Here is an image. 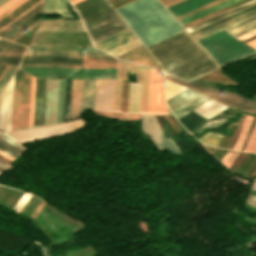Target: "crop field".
<instances>
[{
  "mask_svg": "<svg viewBox=\"0 0 256 256\" xmlns=\"http://www.w3.org/2000/svg\"><path fill=\"white\" fill-rule=\"evenodd\" d=\"M254 25H256V20L255 21H252V22H250V23H248V24H245V25H243V26H240V27H238V28H235V29H233V30H230V31H228V33H230L231 35H233V34H235V33H237V32H240V31H242V30H245V29H247V28H249V27H252V26H254ZM253 30H256V26H254V27H252V28H249V29H247V30H245V31H242V32H240V33H237V34H235V35H233L235 38H237V37H239V36H241V35H244V34H246V33H249V32H251V31H253Z\"/></svg>",
  "mask_w": 256,
  "mask_h": 256,
  "instance_id": "38",
  "label": "crop field"
},
{
  "mask_svg": "<svg viewBox=\"0 0 256 256\" xmlns=\"http://www.w3.org/2000/svg\"><path fill=\"white\" fill-rule=\"evenodd\" d=\"M255 13H256V9H255V10H252V11H250V12H248V13H245V14H243V15H241V16H238V17H236V18H234V19H231V20H229V21H226V22H224V23H222V24H219V25H217V26H215V27H212V28H210V29H208V30H205V31H203V32H201V33H198V34L194 35V37L197 38V37H199V36L205 35V34L210 33V32H212V31L218 30V29H220L221 27H223V26H225V25H228V24H230V23H233V22H235V21H237V20H240V19H242V18H245V17L250 16V15L255 14Z\"/></svg>",
  "mask_w": 256,
  "mask_h": 256,
  "instance_id": "34",
  "label": "crop field"
},
{
  "mask_svg": "<svg viewBox=\"0 0 256 256\" xmlns=\"http://www.w3.org/2000/svg\"><path fill=\"white\" fill-rule=\"evenodd\" d=\"M255 19H256V14H255V15H252V16H250V17H247V18H245V19H242V20H240V21H237V22H235V23H233V24H230V25H228V26H225V27H223L222 29L228 31V30H230V29H233V28H235V27H238V26H240V25H243V24L248 23V22H250V21H252V20H255ZM220 30H221V29H220ZM218 31H219V30H218ZM215 32H217V31H215ZM212 33H214V32H212ZM212 33H210V34H212ZM207 35H209V34H207ZM207 35H205V36H207ZM205 36H202V37H205ZM202 37H199V38H197L196 40H198V39H200V38H202Z\"/></svg>",
  "mask_w": 256,
  "mask_h": 256,
  "instance_id": "40",
  "label": "crop field"
},
{
  "mask_svg": "<svg viewBox=\"0 0 256 256\" xmlns=\"http://www.w3.org/2000/svg\"><path fill=\"white\" fill-rule=\"evenodd\" d=\"M173 82H176L178 84L187 86L193 90H196L208 97H211L223 104L232 106L234 108L249 112L251 114L256 115V102L246 100L236 94L226 92L223 90L215 89V88H210V87H204V86H198V85H193L189 84L180 80H176L170 77H165ZM224 92L225 94L222 95L221 93Z\"/></svg>",
  "mask_w": 256,
  "mask_h": 256,
  "instance_id": "8",
  "label": "crop field"
},
{
  "mask_svg": "<svg viewBox=\"0 0 256 256\" xmlns=\"http://www.w3.org/2000/svg\"><path fill=\"white\" fill-rule=\"evenodd\" d=\"M147 113H167L163 100L162 75L150 69Z\"/></svg>",
  "mask_w": 256,
  "mask_h": 256,
  "instance_id": "13",
  "label": "crop field"
},
{
  "mask_svg": "<svg viewBox=\"0 0 256 256\" xmlns=\"http://www.w3.org/2000/svg\"><path fill=\"white\" fill-rule=\"evenodd\" d=\"M165 89H166V99H168L187 88L165 80Z\"/></svg>",
  "mask_w": 256,
  "mask_h": 256,
  "instance_id": "37",
  "label": "crop field"
},
{
  "mask_svg": "<svg viewBox=\"0 0 256 256\" xmlns=\"http://www.w3.org/2000/svg\"><path fill=\"white\" fill-rule=\"evenodd\" d=\"M0 175H1V173H0Z\"/></svg>",
  "mask_w": 256,
  "mask_h": 256,
  "instance_id": "56",
  "label": "crop field"
},
{
  "mask_svg": "<svg viewBox=\"0 0 256 256\" xmlns=\"http://www.w3.org/2000/svg\"><path fill=\"white\" fill-rule=\"evenodd\" d=\"M142 130L148 134L158 149L168 148L169 151L182 154L170 138L165 139L155 115L140 114Z\"/></svg>",
  "mask_w": 256,
  "mask_h": 256,
  "instance_id": "12",
  "label": "crop field"
},
{
  "mask_svg": "<svg viewBox=\"0 0 256 256\" xmlns=\"http://www.w3.org/2000/svg\"><path fill=\"white\" fill-rule=\"evenodd\" d=\"M255 4H256V0H252V1L247 2V3L243 4V5H240V6L236 7V8H233V9H231V10H229V11H226V12H224V13H222V14H219V15H217V16H215V17H212V18H210V19H208V20H205V21H203V22H201V23H198V24H196V25H194V26H191V27L187 28V30H188L189 32H191V31H193V30H195V29H198V28H200V27H203V26H205V25H207V24H210V23H212V22H214V21H217V20H219V19H222V18H224V17H226V16H229V15H231V14H233V13H236V12H238V11H241V10H243V9H245V8H248V7H250V6H252V5H255Z\"/></svg>",
  "mask_w": 256,
  "mask_h": 256,
  "instance_id": "26",
  "label": "crop field"
},
{
  "mask_svg": "<svg viewBox=\"0 0 256 256\" xmlns=\"http://www.w3.org/2000/svg\"><path fill=\"white\" fill-rule=\"evenodd\" d=\"M74 8L93 44L127 29L106 0H84Z\"/></svg>",
  "mask_w": 256,
  "mask_h": 256,
  "instance_id": "1",
  "label": "crop field"
},
{
  "mask_svg": "<svg viewBox=\"0 0 256 256\" xmlns=\"http://www.w3.org/2000/svg\"><path fill=\"white\" fill-rule=\"evenodd\" d=\"M200 94L193 92L189 89L177 94L176 96L166 100L170 110H174L179 106L185 104L186 102L194 99L195 97L199 96Z\"/></svg>",
  "mask_w": 256,
  "mask_h": 256,
  "instance_id": "27",
  "label": "crop field"
},
{
  "mask_svg": "<svg viewBox=\"0 0 256 256\" xmlns=\"http://www.w3.org/2000/svg\"><path fill=\"white\" fill-rule=\"evenodd\" d=\"M119 57L136 62V63L143 64L152 68L159 69V67L155 64V62L151 59V57L147 54V52L143 49L142 46L130 52H127Z\"/></svg>",
  "mask_w": 256,
  "mask_h": 256,
  "instance_id": "22",
  "label": "crop field"
},
{
  "mask_svg": "<svg viewBox=\"0 0 256 256\" xmlns=\"http://www.w3.org/2000/svg\"><path fill=\"white\" fill-rule=\"evenodd\" d=\"M27 47L0 39V63L19 65Z\"/></svg>",
  "mask_w": 256,
  "mask_h": 256,
  "instance_id": "18",
  "label": "crop field"
},
{
  "mask_svg": "<svg viewBox=\"0 0 256 256\" xmlns=\"http://www.w3.org/2000/svg\"><path fill=\"white\" fill-rule=\"evenodd\" d=\"M94 112L97 114H101L104 116H108V117L123 120V121H135V120L141 119L139 114H124V113L102 112V111H94Z\"/></svg>",
  "mask_w": 256,
  "mask_h": 256,
  "instance_id": "32",
  "label": "crop field"
},
{
  "mask_svg": "<svg viewBox=\"0 0 256 256\" xmlns=\"http://www.w3.org/2000/svg\"><path fill=\"white\" fill-rule=\"evenodd\" d=\"M135 39L134 35L130 32L129 29L116 34L106 40H103L97 44H95L94 46L107 52L115 47H118L124 43H127L131 40Z\"/></svg>",
  "mask_w": 256,
  "mask_h": 256,
  "instance_id": "21",
  "label": "crop field"
},
{
  "mask_svg": "<svg viewBox=\"0 0 256 256\" xmlns=\"http://www.w3.org/2000/svg\"><path fill=\"white\" fill-rule=\"evenodd\" d=\"M135 72L137 83H142L140 112L146 113L149 69L119 60L118 79L115 87L114 111H120L122 79Z\"/></svg>",
  "mask_w": 256,
  "mask_h": 256,
  "instance_id": "6",
  "label": "crop field"
},
{
  "mask_svg": "<svg viewBox=\"0 0 256 256\" xmlns=\"http://www.w3.org/2000/svg\"><path fill=\"white\" fill-rule=\"evenodd\" d=\"M250 198V197H249ZM253 199V198H252Z\"/></svg>",
  "mask_w": 256,
  "mask_h": 256,
  "instance_id": "57",
  "label": "crop field"
},
{
  "mask_svg": "<svg viewBox=\"0 0 256 256\" xmlns=\"http://www.w3.org/2000/svg\"><path fill=\"white\" fill-rule=\"evenodd\" d=\"M59 79H47L44 124L56 122Z\"/></svg>",
  "mask_w": 256,
  "mask_h": 256,
  "instance_id": "16",
  "label": "crop field"
},
{
  "mask_svg": "<svg viewBox=\"0 0 256 256\" xmlns=\"http://www.w3.org/2000/svg\"><path fill=\"white\" fill-rule=\"evenodd\" d=\"M41 6H42V2H40L38 5L33 7L31 10H29L24 15H22L17 20L12 22L3 30H1L0 37L13 41L19 36H21L22 34H24L26 30L29 31L30 29H32L35 25L39 23L41 19L39 18L35 22L33 21V17L41 13Z\"/></svg>",
  "mask_w": 256,
  "mask_h": 256,
  "instance_id": "11",
  "label": "crop field"
},
{
  "mask_svg": "<svg viewBox=\"0 0 256 256\" xmlns=\"http://www.w3.org/2000/svg\"><path fill=\"white\" fill-rule=\"evenodd\" d=\"M80 1H82V0H73V1H71V4L74 5V4H76V3L80 2Z\"/></svg>",
  "mask_w": 256,
  "mask_h": 256,
  "instance_id": "54",
  "label": "crop field"
},
{
  "mask_svg": "<svg viewBox=\"0 0 256 256\" xmlns=\"http://www.w3.org/2000/svg\"><path fill=\"white\" fill-rule=\"evenodd\" d=\"M210 99L204 97V96H199L197 98H195L194 100L188 102L187 104L179 107L178 109L172 111L173 114L176 116V118H180L183 115L189 113L190 111H192L193 109L199 107L200 105L204 104L205 102L209 101Z\"/></svg>",
  "mask_w": 256,
  "mask_h": 256,
  "instance_id": "30",
  "label": "crop field"
},
{
  "mask_svg": "<svg viewBox=\"0 0 256 256\" xmlns=\"http://www.w3.org/2000/svg\"><path fill=\"white\" fill-rule=\"evenodd\" d=\"M30 45L92 46L86 32L37 31Z\"/></svg>",
  "mask_w": 256,
  "mask_h": 256,
  "instance_id": "9",
  "label": "crop field"
},
{
  "mask_svg": "<svg viewBox=\"0 0 256 256\" xmlns=\"http://www.w3.org/2000/svg\"><path fill=\"white\" fill-rule=\"evenodd\" d=\"M220 1H223V0H218V1H216V2H213V3H211V4H208V5H206V6H203V7L199 8V9H196V10H194V11H191V12H189V13H186V14H184V15H182V16H179V17H177V20H179V19H181V18H183V17H186V16H188V15H190V14H193V13H195V12H197V11H200V10H202V9H204V8H207V7L211 6V5H214V4H216V3L220 2Z\"/></svg>",
  "mask_w": 256,
  "mask_h": 256,
  "instance_id": "47",
  "label": "crop field"
},
{
  "mask_svg": "<svg viewBox=\"0 0 256 256\" xmlns=\"http://www.w3.org/2000/svg\"><path fill=\"white\" fill-rule=\"evenodd\" d=\"M198 42L220 66L256 53L223 30L202 38Z\"/></svg>",
  "mask_w": 256,
  "mask_h": 256,
  "instance_id": "2",
  "label": "crop field"
},
{
  "mask_svg": "<svg viewBox=\"0 0 256 256\" xmlns=\"http://www.w3.org/2000/svg\"><path fill=\"white\" fill-rule=\"evenodd\" d=\"M37 78L51 76H84L116 78V69H43L22 68Z\"/></svg>",
  "mask_w": 256,
  "mask_h": 256,
  "instance_id": "10",
  "label": "crop field"
},
{
  "mask_svg": "<svg viewBox=\"0 0 256 256\" xmlns=\"http://www.w3.org/2000/svg\"><path fill=\"white\" fill-rule=\"evenodd\" d=\"M246 44L256 49V39L253 40V41H250V42H248Z\"/></svg>",
  "mask_w": 256,
  "mask_h": 256,
  "instance_id": "51",
  "label": "crop field"
},
{
  "mask_svg": "<svg viewBox=\"0 0 256 256\" xmlns=\"http://www.w3.org/2000/svg\"><path fill=\"white\" fill-rule=\"evenodd\" d=\"M26 55L108 56L100 51L28 50Z\"/></svg>",
  "mask_w": 256,
  "mask_h": 256,
  "instance_id": "23",
  "label": "crop field"
},
{
  "mask_svg": "<svg viewBox=\"0 0 256 256\" xmlns=\"http://www.w3.org/2000/svg\"><path fill=\"white\" fill-rule=\"evenodd\" d=\"M160 1H162V0H160Z\"/></svg>",
  "mask_w": 256,
  "mask_h": 256,
  "instance_id": "58",
  "label": "crop field"
},
{
  "mask_svg": "<svg viewBox=\"0 0 256 256\" xmlns=\"http://www.w3.org/2000/svg\"><path fill=\"white\" fill-rule=\"evenodd\" d=\"M35 78L32 77L29 127L32 126Z\"/></svg>",
  "mask_w": 256,
  "mask_h": 256,
  "instance_id": "42",
  "label": "crop field"
},
{
  "mask_svg": "<svg viewBox=\"0 0 256 256\" xmlns=\"http://www.w3.org/2000/svg\"><path fill=\"white\" fill-rule=\"evenodd\" d=\"M226 108L227 107L211 100L194 111L208 119Z\"/></svg>",
  "mask_w": 256,
  "mask_h": 256,
  "instance_id": "28",
  "label": "crop field"
},
{
  "mask_svg": "<svg viewBox=\"0 0 256 256\" xmlns=\"http://www.w3.org/2000/svg\"><path fill=\"white\" fill-rule=\"evenodd\" d=\"M22 63H67L68 68H116L113 57L25 56Z\"/></svg>",
  "mask_w": 256,
  "mask_h": 256,
  "instance_id": "5",
  "label": "crop field"
},
{
  "mask_svg": "<svg viewBox=\"0 0 256 256\" xmlns=\"http://www.w3.org/2000/svg\"><path fill=\"white\" fill-rule=\"evenodd\" d=\"M221 137H222V135H220V134L208 132L207 134H205L197 139H199L200 141H202L210 146L217 147Z\"/></svg>",
  "mask_w": 256,
  "mask_h": 256,
  "instance_id": "35",
  "label": "crop field"
},
{
  "mask_svg": "<svg viewBox=\"0 0 256 256\" xmlns=\"http://www.w3.org/2000/svg\"><path fill=\"white\" fill-rule=\"evenodd\" d=\"M238 1H240V0H225V1L220 2V3H218V4L214 5V6L209 7V8H207V9H204V10H202V11H200V12H197V13H195V14H193V15H190V16H188V17H186V18H183V19L179 20V22H180L182 25H184V24H186V23H188V22H191V21H193V20H196V19H198V18H200V17H203V16H205V15H207V14H210V13H212V12H214V11H217V10H219V9H222V8H224V7H226V6H229V5L233 4V3H236V2H238Z\"/></svg>",
  "mask_w": 256,
  "mask_h": 256,
  "instance_id": "25",
  "label": "crop field"
},
{
  "mask_svg": "<svg viewBox=\"0 0 256 256\" xmlns=\"http://www.w3.org/2000/svg\"><path fill=\"white\" fill-rule=\"evenodd\" d=\"M213 1H215V0H195V1H192V2H190V3L185 4V5H183V6H180V7H178V8H175V9L171 10V13H172L175 17H177V16H179V15H182V14H184V13H186V12H189V11H191V10H194V9H196V8H199V7L203 6V5H206V4H208V3H211V2H213Z\"/></svg>",
  "mask_w": 256,
  "mask_h": 256,
  "instance_id": "31",
  "label": "crop field"
},
{
  "mask_svg": "<svg viewBox=\"0 0 256 256\" xmlns=\"http://www.w3.org/2000/svg\"><path fill=\"white\" fill-rule=\"evenodd\" d=\"M38 30L85 31L80 20H45Z\"/></svg>",
  "mask_w": 256,
  "mask_h": 256,
  "instance_id": "19",
  "label": "crop field"
},
{
  "mask_svg": "<svg viewBox=\"0 0 256 256\" xmlns=\"http://www.w3.org/2000/svg\"><path fill=\"white\" fill-rule=\"evenodd\" d=\"M82 79H72L70 119L79 115Z\"/></svg>",
  "mask_w": 256,
  "mask_h": 256,
  "instance_id": "24",
  "label": "crop field"
},
{
  "mask_svg": "<svg viewBox=\"0 0 256 256\" xmlns=\"http://www.w3.org/2000/svg\"><path fill=\"white\" fill-rule=\"evenodd\" d=\"M138 46H140V43L137 41V39H135V40H133V41L127 43V44H124V45H122L118 48H115V49H113V50H111L107 53L117 57V56H119V55H121V54H123L127 51H130V50H132V49H134Z\"/></svg>",
  "mask_w": 256,
  "mask_h": 256,
  "instance_id": "33",
  "label": "crop field"
},
{
  "mask_svg": "<svg viewBox=\"0 0 256 256\" xmlns=\"http://www.w3.org/2000/svg\"><path fill=\"white\" fill-rule=\"evenodd\" d=\"M14 76L1 94L0 129L9 131L11 123L12 95Z\"/></svg>",
  "mask_w": 256,
  "mask_h": 256,
  "instance_id": "17",
  "label": "crop field"
},
{
  "mask_svg": "<svg viewBox=\"0 0 256 256\" xmlns=\"http://www.w3.org/2000/svg\"><path fill=\"white\" fill-rule=\"evenodd\" d=\"M190 1H192V0H185V1H182V2H180V3H177V4L173 5V6L168 7V9L171 10V9H173V8H175V7H178V6H180V5H183V4H185V3H187V2H190Z\"/></svg>",
  "mask_w": 256,
  "mask_h": 256,
  "instance_id": "49",
  "label": "crop field"
},
{
  "mask_svg": "<svg viewBox=\"0 0 256 256\" xmlns=\"http://www.w3.org/2000/svg\"><path fill=\"white\" fill-rule=\"evenodd\" d=\"M68 9L65 0H45L44 10Z\"/></svg>",
  "mask_w": 256,
  "mask_h": 256,
  "instance_id": "36",
  "label": "crop field"
},
{
  "mask_svg": "<svg viewBox=\"0 0 256 256\" xmlns=\"http://www.w3.org/2000/svg\"><path fill=\"white\" fill-rule=\"evenodd\" d=\"M45 202H41V204L37 207V209L32 213V215L30 216V219L34 220V218L36 217V215L39 213V211L41 210L42 206L44 205Z\"/></svg>",
  "mask_w": 256,
  "mask_h": 256,
  "instance_id": "48",
  "label": "crop field"
},
{
  "mask_svg": "<svg viewBox=\"0 0 256 256\" xmlns=\"http://www.w3.org/2000/svg\"><path fill=\"white\" fill-rule=\"evenodd\" d=\"M0 155L3 156V157H5V158H7V159H9V160H11V161L14 160V158H12V157H10V156H8V155L2 153V152H0Z\"/></svg>",
  "mask_w": 256,
  "mask_h": 256,
  "instance_id": "52",
  "label": "crop field"
},
{
  "mask_svg": "<svg viewBox=\"0 0 256 256\" xmlns=\"http://www.w3.org/2000/svg\"><path fill=\"white\" fill-rule=\"evenodd\" d=\"M115 79H97L95 108L113 111Z\"/></svg>",
  "mask_w": 256,
  "mask_h": 256,
  "instance_id": "15",
  "label": "crop field"
},
{
  "mask_svg": "<svg viewBox=\"0 0 256 256\" xmlns=\"http://www.w3.org/2000/svg\"><path fill=\"white\" fill-rule=\"evenodd\" d=\"M10 166H11V165H9V164H7V163H5V162H3V161L0 160V167H1V168L7 170V169L10 168Z\"/></svg>",
  "mask_w": 256,
  "mask_h": 256,
  "instance_id": "50",
  "label": "crop field"
},
{
  "mask_svg": "<svg viewBox=\"0 0 256 256\" xmlns=\"http://www.w3.org/2000/svg\"><path fill=\"white\" fill-rule=\"evenodd\" d=\"M0 138L6 140L7 142L13 144L14 146L18 147L21 150H25L26 148L23 147L20 143H18L16 140H14L12 137H10L8 134L6 133H0Z\"/></svg>",
  "mask_w": 256,
  "mask_h": 256,
  "instance_id": "43",
  "label": "crop field"
},
{
  "mask_svg": "<svg viewBox=\"0 0 256 256\" xmlns=\"http://www.w3.org/2000/svg\"><path fill=\"white\" fill-rule=\"evenodd\" d=\"M31 75L17 70L14 82L11 130L28 127Z\"/></svg>",
  "mask_w": 256,
  "mask_h": 256,
  "instance_id": "3",
  "label": "crop field"
},
{
  "mask_svg": "<svg viewBox=\"0 0 256 256\" xmlns=\"http://www.w3.org/2000/svg\"><path fill=\"white\" fill-rule=\"evenodd\" d=\"M141 84L130 82L128 112H139Z\"/></svg>",
  "mask_w": 256,
  "mask_h": 256,
  "instance_id": "29",
  "label": "crop field"
},
{
  "mask_svg": "<svg viewBox=\"0 0 256 256\" xmlns=\"http://www.w3.org/2000/svg\"><path fill=\"white\" fill-rule=\"evenodd\" d=\"M24 0H8L6 3H4L2 6H0V16H2L7 11L13 9L18 4L23 2Z\"/></svg>",
  "mask_w": 256,
  "mask_h": 256,
  "instance_id": "41",
  "label": "crop field"
},
{
  "mask_svg": "<svg viewBox=\"0 0 256 256\" xmlns=\"http://www.w3.org/2000/svg\"><path fill=\"white\" fill-rule=\"evenodd\" d=\"M85 124L83 118L60 124L46 125L8 132L21 143L77 130Z\"/></svg>",
  "mask_w": 256,
  "mask_h": 256,
  "instance_id": "7",
  "label": "crop field"
},
{
  "mask_svg": "<svg viewBox=\"0 0 256 256\" xmlns=\"http://www.w3.org/2000/svg\"><path fill=\"white\" fill-rule=\"evenodd\" d=\"M20 67H66V64H21Z\"/></svg>",
  "mask_w": 256,
  "mask_h": 256,
  "instance_id": "44",
  "label": "crop field"
},
{
  "mask_svg": "<svg viewBox=\"0 0 256 256\" xmlns=\"http://www.w3.org/2000/svg\"><path fill=\"white\" fill-rule=\"evenodd\" d=\"M207 55V53L201 48H197L187 54H184L174 60L171 61L168 65H160L161 69L164 71V73H168L176 68H179L185 64H188L196 59H199L203 56Z\"/></svg>",
  "mask_w": 256,
  "mask_h": 256,
  "instance_id": "20",
  "label": "crop field"
},
{
  "mask_svg": "<svg viewBox=\"0 0 256 256\" xmlns=\"http://www.w3.org/2000/svg\"><path fill=\"white\" fill-rule=\"evenodd\" d=\"M248 201H251V200L248 199ZM251 202H253V201H251ZM248 203H249V202H248ZM253 203H255V202H253ZM250 204H251V203H250ZM255 204H256V203H255ZM252 205H253V204H252ZM254 206H255V205H254Z\"/></svg>",
  "mask_w": 256,
  "mask_h": 256,
  "instance_id": "55",
  "label": "crop field"
},
{
  "mask_svg": "<svg viewBox=\"0 0 256 256\" xmlns=\"http://www.w3.org/2000/svg\"><path fill=\"white\" fill-rule=\"evenodd\" d=\"M255 8H256V5H255V6H252V7H250V8H248V9H245V10H243V11H241V12H238V13H236V14H233V15H231V16H229V17H226V18H224V19H222V20H219V21H217V22H214V23H212V24H210V25H207V26H205V27H203V28H200V29H198V30H195V31L191 32V34L194 35V34H196V33H198V32H201V31H203V30H205V29H208V28H210V27H212V26H215V25H217V24H219V23H222V22H224V21H226V20H229V19H231V18H234V17H236V16H238V15H241V14H243V13H245V12H248V11H250V10H252V9H255Z\"/></svg>",
  "mask_w": 256,
  "mask_h": 256,
  "instance_id": "39",
  "label": "crop field"
},
{
  "mask_svg": "<svg viewBox=\"0 0 256 256\" xmlns=\"http://www.w3.org/2000/svg\"><path fill=\"white\" fill-rule=\"evenodd\" d=\"M217 66L218 65L213 61V59L207 55L169 74L179 79L188 81L196 76L216 68Z\"/></svg>",
  "mask_w": 256,
  "mask_h": 256,
  "instance_id": "14",
  "label": "crop field"
},
{
  "mask_svg": "<svg viewBox=\"0 0 256 256\" xmlns=\"http://www.w3.org/2000/svg\"><path fill=\"white\" fill-rule=\"evenodd\" d=\"M0 150L3 151V152H5V153H7L8 155H10V156H12V157H14V158L18 157L19 154H20V153H18V152H16V151H14V150H12V149H10V148L4 146V145L1 144V143H0Z\"/></svg>",
  "mask_w": 256,
  "mask_h": 256,
  "instance_id": "46",
  "label": "crop field"
},
{
  "mask_svg": "<svg viewBox=\"0 0 256 256\" xmlns=\"http://www.w3.org/2000/svg\"><path fill=\"white\" fill-rule=\"evenodd\" d=\"M69 1H71V0H69Z\"/></svg>",
  "mask_w": 256,
  "mask_h": 256,
  "instance_id": "59",
  "label": "crop field"
},
{
  "mask_svg": "<svg viewBox=\"0 0 256 256\" xmlns=\"http://www.w3.org/2000/svg\"><path fill=\"white\" fill-rule=\"evenodd\" d=\"M173 1H175V0H164V1H162V3H163L164 5H166V4L171 3V2H173Z\"/></svg>",
  "mask_w": 256,
  "mask_h": 256,
  "instance_id": "53",
  "label": "crop field"
},
{
  "mask_svg": "<svg viewBox=\"0 0 256 256\" xmlns=\"http://www.w3.org/2000/svg\"><path fill=\"white\" fill-rule=\"evenodd\" d=\"M17 69V67L12 66V68L9 70V72L7 73V75L5 76V78L2 80V82L0 83V91L3 89V87L5 86V84L8 82V80L11 78V76L13 75V73L15 72V70Z\"/></svg>",
  "mask_w": 256,
  "mask_h": 256,
  "instance_id": "45",
  "label": "crop field"
},
{
  "mask_svg": "<svg viewBox=\"0 0 256 256\" xmlns=\"http://www.w3.org/2000/svg\"><path fill=\"white\" fill-rule=\"evenodd\" d=\"M197 47L199 45L196 41L184 30L147 48V50L157 64L160 65Z\"/></svg>",
  "mask_w": 256,
  "mask_h": 256,
  "instance_id": "4",
  "label": "crop field"
}]
</instances>
